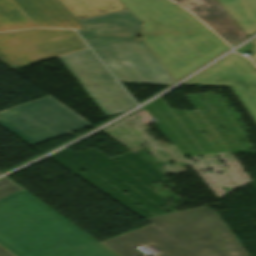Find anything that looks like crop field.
Returning a JSON list of instances; mask_svg holds the SVG:
<instances>
[{
    "instance_id": "1",
    "label": "crop field",
    "mask_w": 256,
    "mask_h": 256,
    "mask_svg": "<svg viewBox=\"0 0 256 256\" xmlns=\"http://www.w3.org/2000/svg\"><path fill=\"white\" fill-rule=\"evenodd\" d=\"M0 245L15 256H116L7 177L0 180ZM0 247V256H11Z\"/></svg>"
},
{
    "instance_id": "2",
    "label": "crop field",
    "mask_w": 256,
    "mask_h": 256,
    "mask_svg": "<svg viewBox=\"0 0 256 256\" xmlns=\"http://www.w3.org/2000/svg\"><path fill=\"white\" fill-rule=\"evenodd\" d=\"M151 225L101 242L119 256H248L216 212L208 206L146 218Z\"/></svg>"
},
{
    "instance_id": "3",
    "label": "crop field",
    "mask_w": 256,
    "mask_h": 256,
    "mask_svg": "<svg viewBox=\"0 0 256 256\" xmlns=\"http://www.w3.org/2000/svg\"><path fill=\"white\" fill-rule=\"evenodd\" d=\"M144 24L142 40L178 81L229 49L192 14L168 0H119Z\"/></svg>"
},
{
    "instance_id": "4",
    "label": "crop field",
    "mask_w": 256,
    "mask_h": 256,
    "mask_svg": "<svg viewBox=\"0 0 256 256\" xmlns=\"http://www.w3.org/2000/svg\"><path fill=\"white\" fill-rule=\"evenodd\" d=\"M78 31L119 82L170 85L173 79L140 38V22L128 11L79 21Z\"/></svg>"
},
{
    "instance_id": "5",
    "label": "crop field",
    "mask_w": 256,
    "mask_h": 256,
    "mask_svg": "<svg viewBox=\"0 0 256 256\" xmlns=\"http://www.w3.org/2000/svg\"><path fill=\"white\" fill-rule=\"evenodd\" d=\"M0 125L31 146L91 126L50 96L1 111Z\"/></svg>"
},
{
    "instance_id": "6",
    "label": "crop field",
    "mask_w": 256,
    "mask_h": 256,
    "mask_svg": "<svg viewBox=\"0 0 256 256\" xmlns=\"http://www.w3.org/2000/svg\"><path fill=\"white\" fill-rule=\"evenodd\" d=\"M87 48L73 30L0 33V61L13 70Z\"/></svg>"
},
{
    "instance_id": "7",
    "label": "crop field",
    "mask_w": 256,
    "mask_h": 256,
    "mask_svg": "<svg viewBox=\"0 0 256 256\" xmlns=\"http://www.w3.org/2000/svg\"><path fill=\"white\" fill-rule=\"evenodd\" d=\"M58 59L80 82L106 116L135 105L89 48Z\"/></svg>"
},
{
    "instance_id": "8",
    "label": "crop field",
    "mask_w": 256,
    "mask_h": 256,
    "mask_svg": "<svg viewBox=\"0 0 256 256\" xmlns=\"http://www.w3.org/2000/svg\"><path fill=\"white\" fill-rule=\"evenodd\" d=\"M253 66L246 58L232 53L183 85L230 87L256 122V68Z\"/></svg>"
},
{
    "instance_id": "9",
    "label": "crop field",
    "mask_w": 256,
    "mask_h": 256,
    "mask_svg": "<svg viewBox=\"0 0 256 256\" xmlns=\"http://www.w3.org/2000/svg\"><path fill=\"white\" fill-rule=\"evenodd\" d=\"M36 27L84 30L56 0H11ZM34 27L9 0H0V32Z\"/></svg>"
},
{
    "instance_id": "10",
    "label": "crop field",
    "mask_w": 256,
    "mask_h": 256,
    "mask_svg": "<svg viewBox=\"0 0 256 256\" xmlns=\"http://www.w3.org/2000/svg\"><path fill=\"white\" fill-rule=\"evenodd\" d=\"M190 10L230 46L246 38L216 0H174Z\"/></svg>"
},
{
    "instance_id": "11",
    "label": "crop field",
    "mask_w": 256,
    "mask_h": 256,
    "mask_svg": "<svg viewBox=\"0 0 256 256\" xmlns=\"http://www.w3.org/2000/svg\"><path fill=\"white\" fill-rule=\"evenodd\" d=\"M77 20L127 9L118 0H59Z\"/></svg>"
},
{
    "instance_id": "12",
    "label": "crop field",
    "mask_w": 256,
    "mask_h": 256,
    "mask_svg": "<svg viewBox=\"0 0 256 256\" xmlns=\"http://www.w3.org/2000/svg\"><path fill=\"white\" fill-rule=\"evenodd\" d=\"M218 1L227 9L247 35L256 30V0Z\"/></svg>"
},
{
    "instance_id": "13",
    "label": "crop field",
    "mask_w": 256,
    "mask_h": 256,
    "mask_svg": "<svg viewBox=\"0 0 256 256\" xmlns=\"http://www.w3.org/2000/svg\"><path fill=\"white\" fill-rule=\"evenodd\" d=\"M254 48V44L251 42L250 44L246 45L245 47L241 48L240 50L236 51L240 54L251 52Z\"/></svg>"
},
{
    "instance_id": "14",
    "label": "crop field",
    "mask_w": 256,
    "mask_h": 256,
    "mask_svg": "<svg viewBox=\"0 0 256 256\" xmlns=\"http://www.w3.org/2000/svg\"><path fill=\"white\" fill-rule=\"evenodd\" d=\"M253 43L255 44V49L252 52L251 57L256 62V40H254Z\"/></svg>"
},
{
    "instance_id": "15",
    "label": "crop field",
    "mask_w": 256,
    "mask_h": 256,
    "mask_svg": "<svg viewBox=\"0 0 256 256\" xmlns=\"http://www.w3.org/2000/svg\"><path fill=\"white\" fill-rule=\"evenodd\" d=\"M17 8V7H16ZM18 9V8H17ZM19 10V9H18ZM20 11V10H19ZM21 12V11H20ZM22 13V12H21ZM23 14V13H22ZM24 15V14H23ZM25 16V15H24Z\"/></svg>"
}]
</instances>
